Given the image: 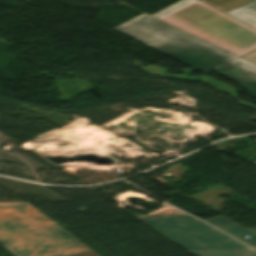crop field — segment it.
Instances as JSON below:
<instances>
[{"label":"crop field","mask_w":256,"mask_h":256,"mask_svg":"<svg viewBox=\"0 0 256 256\" xmlns=\"http://www.w3.org/2000/svg\"><path fill=\"white\" fill-rule=\"evenodd\" d=\"M0 243L15 256H64L88 250L27 203H0Z\"/></svg>","instance_id":"8a807250"},{"label":"crop field","mask_w":256,"mask_h":256,"mask_svg":"<svg viewBox=\"0 0 256 256\" xmlns=\"http://www.w3.org/2000/svg\"><path fill=\"white\" fill-rule=\"evenodd\" d=\"M112 29L203 72L237 57L146 14Z\"/></svg>","instance_id":"ac0d7876"},{"label":"crop field","mask_w":256,"mask_h":256,"mask_svg":"<svg viewBox=\"0 0 256 256\" xmlns=\"http://www.w3.org/2000/svg\"><path fill=\"white\" fill-rule=\"evenodd\" d=\"M152 15L237 55L256 47L255 29L199 0H181Z\"/></svg>","instance_id":"34b2d1b8"},{"label":"crop field","mask_w":256,"mask_h":256,"mask_svg":"<svg viewBox=\"0 0 256 256\" xmlns=\"http://www.w3.org/2000/svg\"><path fill=\"white\" fill-rule=\"evenodd\" d=\"M146 224L195 256H256L186 217L158 218Z\"/></svg>","instance_id":"412701ff"},{"label":"crop field","mask_w":256,"mask_h":256,"mask_svg":"<svg viewBox=\"0 0 256 256\" xmlns=\"http://www.w3.org/2000/svg\"><path fill=\"white\" fill-rule=\"evenodd\" d=\"M214 70L239 82L256 98V65L237 58Z\"/></svg>","instance_id":"f4fd0767"},{"label":"crop field","mask_w":256,"mask_h":256,"mask_svg":"<svg viewBox=\"0 0 256 256\" xmlns=\"http://www.w3.org/2000/svg\"><path fill=\"white\" fill-rule=\"evenodd\" d=\"M205 221L237 239H239L245 235L249 236L250 237L249 239L245 238L241 241L256 248V234L249 231L248 229H246V228H244V227H242V226H240L222 216L215 217V218L205 220Z\"/></svg>","instance_id":"dd49c442"},{"label":"crop field","mask_w":256,"mask_h":256,"mask_svg":"<svg viewBox=\"0 0 256 256\" xmlns=\"http://www.w3.org/2000/svg\"><path fill=\"white\" fill-rule=\"evenodd\" d=\"M250 26L256 24V0L226 13Z\"/></svg>","instance_id":"e52e79f7"},{"label":"crop field","mask_w":256,"mask_h":256,"mask_svg":"<svg viewBox=\"0 0 256 256\" xmlns=\"http://www.w3.org/2000/svg\"><path fill=\"white\" fill-rule=\"evenodd\" d=\"M224 13L252 0H200Z\"/></svg>","instance_id":"d8731c3e"},{"label":"crop field","mask_w":256,"mask_h":256,"mask_svg":"<svg viewBox=\"0 0 256 256\" xmlns=\"http://www.w3.org/2000/svg\"><path fill=\"white\" fill-rule=\"evenodd\" d=\"M165 216H182V215H179V214H176V213H171V214H168V215H165ZM165 216L137 215L136 217H137L138 219H140L142 222L145 223V222H148V221H150V220H152V219H154V218H157V217H165ZM186 217H187V216H186ZM188 218H189V217H188ZM192 220H194V221L200 223L201 225H203V226H205V227L211 229L212 231L218 233L219 235H221V236H223V237H225V238H227V239L233 241L234 243L238 244L239 246L243 247L244 249L248 250L249 252H251V253H253V254L256 253V251H254V250L250 249L249 247H247V246L241 244L240 242H238V241L232 239L231 237H229V236H227V235H225V234H223V233H221V232L215 230L214 228H212V227H210V226H208V225H206V224H204V223H202V222H200V221H198V220H196V219H192Z\"/></svg>","instance_id":"5a996713"},{"label":"crop field","mask_w":256,"mask_h":256,"mask_svg":"<svg viewBox=\"0 0 256 256\" xmlns=\"http://www.w3.org/2000/svg\"><path fill=\"white\" fill-rule=\"evenodd\" d=\"M240 57L249 61V62H252V63L256 64V49L247 53V54H244Z\"/></svg>","instance_id":"3316defc"},{"label":"crop field","mask_w":256,"mask_h":256,"mask_svg":"<svg viewBox=\"0 0 256 256\" xmlns=\"http://www.w3.org/2000/svg\"><path fill=\"white\" fill-rule=\"evenodd\" d=\"M249 230H251V231H253V232H255V233H256V228H255V229H249Z\"/></svg>","instance_id":"28ad6ade"},{"label":"crop field","mask_w":256,"mask_h":256,"mask_svg":"<svg viewBox=\"0 0 256 256\" xmlns=\"http://www.w3.org/2000/svg\"><path fill=\"white\" fill-rule=\"evenodd\" d=\"M252 163L256 165V161H255V162H252Z\"/></svg>","instance_id":"d1516ede"},{"label":"crop field","mask_w":256,"mask_h":256,"mask_svg":"<svg viewBox=\"0 0 256 256\" xmlns=\"http://www.w3.org/2000/svg\"><path fill=\"white\" fill-rule=\"evenodd\" d=\"M255 28H256V26H255Z\"/></svg>","instance_id":"22f410ed"}]
</instances>
